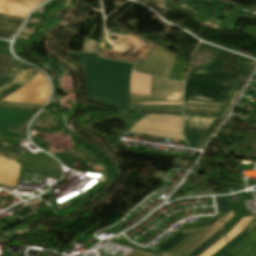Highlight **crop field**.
Masks as SVG:
<instances>
[{"instance_id": "obj_11", "label": "crop field", "mask_w": 256, "mask_h": 256, "mask_svg": "<svg viewBox=\"0 0 256 256\" xmlns=\"http://www.w3.org/2000/svg\"><path fill=\"white\" fill-rule=\"evenodd\" d=\"M34 7L36 6L0 1V13L10 15L25 17Z\"/></svg>"}, {"instance_id": "obj_21", "label": "crop field", "mask_w": 256, "mask_h": 256, "mask_svg": "<svg viewBox=\"0 0 256 256\" xmlns=\"http://www.w3.org/2000/svg\"><path fill=\"white\" fill-rule=\"evenodd\" d=\"M24 18L0 14V22L21 26Z\"/></svg>"}, {"instance_id": "obj_16", "label": "crop field", "mask_w": 256, "mask_h": 256, "mask_svg": "<svg viewBox=\"0 0 256 256\" xmlns=\"http://www.w3.org/2000/svg\"><path fill=\"white\" fill-rule=\"evenodd\" d=\"M255 227H256V216H254L253 220L234 239L228 242L229 250L233 248L241 240H243L246 236H248Z\"/></svg>"}, {"instance_id": "obj_29", "label": "crop field", "mask_w": 256, "mask_h": 256, "mask_svg": "<svg viewBox=\"0 0 256 256\" xmlns=\"http://www.w3.org/2000/svg\"><path fill=\"white\" fill-rule=\"evenodd\" d=\"M25 1H32V2L42 3V2H40V1H33V0H25Z\"/></svg>"}, {"instance_id": "obj_23", "label": "crop field", "mask_w": 256, "mask_h": 256, "mask_svg": "<svg viewBox=\"0 0 256 256\" xmlns=\"http://www.w3.org/2000/svg\"><path fill=\"white\" fill-rule=\"evenodd\" d=\"M16 32L17 31H15V30H7V29L0 28V38L12 39L13 36L16 34Z\"/></svg>"}, {"instance_id": "obj_8", "label": "crop field", "mask_w": 256, "mask_h": 256, "mask_svg": "<svg viewBox=\"0 0 256 256\" xmlns=\"http://www.w3.org/2000/svg\"><path fill=\"white\" fill-rule=\"evenodd\" d=\"M215 117L185 116L184 136L191 147L197 145Z\"/></svg>"}, {"instance_id": "obj_12", "label": "crop field", "mask_w": 256, "mask_h": 256, "mask_svg": "<svg viewBox=\"0 0 256 256\" xmlns=\"http://www.w3.org/2000/svg\"><path fill=\"white\" fill-rule=\"evenodd\" d=\"M218 221L215 222L214 225L211 228H209L206 232H204L200 237H198L195 241H193L191 244H189L187 247H185L177 254L186 256L188 253H190L192 250H194L196 247H198L200 244L206 241L209 237H211L216 231H218L222 227V222L219 224Z\"/></svg>"}, {"instance_id": "obj_22", "label": "crop field", "mask_w": 256, "mask_h": 256, "mask_svg": "<svg viewBox=\"0 0 256 256\" xmlns=\"http://www.w3.org/2000/svg\"><path fill=\"white\" fill-rule=\"evenodd\" d=\"M226 244L225 237L220 239L217 243H215L212 247H210L207 251H205L200 256H211L213 253L218 251L221 247H223Z\"/></svg>"}, {"instance_id": "obj_15", "label": "crop field", "mask_w": 256, "mask_h": 256, "mask_svg": "<svg viewBox=\"0 0 256 256\" xmlns=\"http://www.w3.org/2000/svg\"><path fill=\"white\" fill-rule=\"evenodd\" d=\"M210 226L204 227L202 229L195 230L189 236H187L184 240H182L180 243H178L175 247L171 248L167 252H169V253L178 252L179 250L184 248L186 245H188L191 241H193L196 237H198L200 234H202L205 230H207Z\"/></svg>"}, {"instance_id": "obj_30", "label": "crop field", "mask_w": 256, "mask_h": 256, "mask_svg": "<svg viewBox=\"0 0 256 256\" xmlns=\"http://www.w3.org/2000/svg\"><path fill=\"white\" fill-rule=\"evenodd\" d=\"M44 1H46V0H44Z\"/></svg>"}, {"instance_id": "obj_24", "label": "crop field", "mask_w": 256, "mask_h": 256, "mask_svg": "<svg viewBox=\"0 0 256 256\" xmlns=\"http://www.w3.org/2000/svg\"><path fill=\"white\" fill-rule=\"evenodd\" d=\"M227 252V244L220 249L217 253H215L213 256H223Z\"/></svg>"}, {"instance_id": "obj_18", "label": "crop field", "mask_w": 256, "mask_h": 256, "mask_svg": "<svg viewBox=\"0 0 256 256\" xmlns=\"http://www.w3.org/2000/svg\"><path fill=\"white\" fill-rule=\"evenodd\" d=\"M252 218L253 216L242 218L240 222L228 234H226L227 241L236 236L250 222Z\"/></svg>"}, {"instance_id": "obj_5", "label": "crop field", "mask_w": 256, "mask_h": 256, "mask_svg": "<svg viewBox=\"0 0 256 256\" xmlns=\"http://www.w3.org/2000/svg\"><path fill=\"white\" fill-rule=\"evenodd\" d=\"M49 83L41 74H37L28 84L3 101L44 105L49 96Z\"/></svg>"}, {"instance_id": "obj_4", "label": "crop field", "mask_w": 256, "mask_h": 256, "mask_svg": "<svg viewBox=\"0 0 256 256\" xmlns=\"http://www.w3.org/2000/svg\"><path fill=\"white\" fill-rule=\"evenodd\" d=\"M183 83L152 76L151 96L131 94L133 104L182 105Z\"/></svg>"}, {"instance_id": "obj_7", "label": "crop field", "mask_w": 256, "mask_h": 256, "mask_svg": "<svg viewBox=\"0 0 256 256\" xmlns=\"http://www.w3.org/2000/svg\"><path fill=\"white\" fill-rule=\"evenodd\" d=\"M39 71L27 69L26 71L12 68L0 78V99L12 94L31 80Z\"/></svg>"}, {"instance_id": "obj_13", "label": "crop field", "mask_w": 256, "mask_h": 256, "mask_svg": "<svg viewBox=\"0 0 256 256\" xmlns=\"http://www.w3.org/2000/svg\"><path fill=\"white\" fill-rule=\"evenodd\" d=\"M22 152L12 148L0 139V156L15 161Z\"/></svg>"}, {"instance_id": "obj_14", "label": "crop field", "mask_w": 256, "mask_h": 256, "mask_svg": "<svg viewBox=\"0 0 256 256\" xmlns=\"http://www.w3.org/2000/svg\"><path fill=\"white\" fill-rule=\"evenodd\" d=\"M223 236H224V233H223V227H222L216 234H214L204 244H202L200 247H198L196 250H194L192 253H190L187 256L200 255L202 252H204L206 249H208L211 245H213L215 242H217Z\"/></svg>"}, {"instance_id": "obj_26", "label": "crop field", "mask_w": 256, "mask_h": 256, "mask_svg": "<svg viewBox=\"0 0 256 256\" xmlns=\"http://www.w3.org/2000/svg\"><path fill=\"white\" fill-rule=\"evenodd\" d=\"M130 256H153V255H149V254H145V253H142V252H139V251H135Z\"/></svg>"}, {"instance_id": "obj_9", "label": "crop field", "mask_w": 256, "mask_h": 256, "mask_svg": "<svg viewBox=\"0 0 256 256\" xmlns=\"http://www.w3.org/2000/svg\"><path fill=\"white\" fill-rule=\"evenodd\" d=\"M20 165L0 158V183L15 186Z\"/></svg>"}, {"instance_id": "obj_27", "label": "crop field", "mask_w": 256, "mask_h": 256, "mask_svg": "<svg viewBox=\"0 0 256 256\" xmlns=\"http://www.w3.org/2000/svg\"><path fill=\"white\" fill-rule=\"evenodd\" d=\"M233 216L232 211H230L226 216H224V224Z\"/></svg>"}, {"instance_id": "obj_25", "label": "crop field", "mask_w": 256, "mask_h": 256, "mask_svg": "<svg viewBox=\"0 0 256 256\" xmlns=\"http://www.w3.org/2000/svg\"><path fill=\"white\" fill-rule=\"evenodd\" d=\"M0 27H1V28H7V29H15V30H18V29H19L18 26H13V25L3 24V23H0Z\"/></svg>"}, {"instance_id": "obj_28", "label": "crop field", "mask_w": 256, "mask_h": 256, "mask_svg": "<svg viewBox=\"0 0 256 256\" xmlns=\"http://www.w3.org/2000/svg\"><path fill=\"white\" fill-rule=\"evenodd\" d=\"M7 1L17 2V3H25V4H34V5H39V4H35V3H26V2L17 1V0H7Z\"/></svg>"}, {"instance_id": "obj_20", "label": "crop field", "mask_w": 256, "mask_h": 256, "mask_svg": "<svg viewBox=\"0 0 256 256\" xmlns=\"http://www.w3.org/2000/svg\"><path fill=\"white\" fill-rule=\"evenodd\" d=\"M216 202H217L218 211L220 212L221 216L226 215L231 210L225 199V196L216 197Z\"/></svg>"}, {"instance_id": "obj_10", "label": "crop field", "mask_w": 256, "mask_h": 256, "mask_svg": "<svg viewBox=\"0 0 256 256\" xmlns=\"http://www.w3.org/2000/svg\"><path fill=\"white\" fill-rule=\"evenodd\" d=\"M151 76L132 73L131 74V93L150 95Z\"/></svg>"}, {"instance_id": "obj_6", "label": "crop field", "mask_w": 256, "mask_h": 256, "mask_svg": "<svg viewBox=\"0 0 256 256\" xmlns=\"http://www.w3.org/2000/svg\"><path fill=\"white\" fill-rule=\"evenodd\" d=\"M175 57V54L157 46L142 72L169 79Z\"/></svg>"}, {"instance_id": "obj_1", "label": "crop field", "mask_w": 256, "mask_h": 256, "mask_svg": "<svg viewBox=\"0 0 256 256\" xmlns=\"http://www.w3.org/2000/svg\"><path fill=\"white\" fill-rule=\"evenodd\" d=\"M68 53L87 65L88 100L130 110L128 84L133 65L99 58L97 54Z\"/></svg>"}, {"instance_id": "obj_17", "label": "crop field", "mask_w": 256, "mask_h": 256, "mask_svg": "<svg viewBox=\"0 0 256 256\" xmlns=\"http://www.w3.org/2000/svg\"><path fill=\"white\" fill-rule=\"evenodd\" d=\"M193 230H183L179 234H177L175 237H173L171 240H169L167 243H165L163 246H161L158 251L165 252L167 249L173 247L175 244H177L180 240H182L184 237H186L189 233H191Z\"/></svg>"}, {"instance_id": "obj_3", "label": "crop field", "mask_w": 256, "mask_h": 256, "mask_svg": "<svg viewBox=\"0 0 256 256\" xmlns=\"http://www.w3.org/2000/svg\"><path fill=\"white\" fill-rule=\"evenodd\" d=\"M181 125V115L149 114L140 119L129 132L184 140Z\"/></svg>"}, {"instance_id": "obj_19", "label": "crop field", "mask_w": 256, "mask_h": 256, "mask_svg": "<svg viewBox=\"0 0 256 256\" xmlns=\"http://www.w3.org/2000/svg\"><path fill=\"white\" fill-rule=\"evenodd\" d=\"M14 60V58L0 55V77L11 69Z\"/></svg>"}, {"instance_id": "obj_2", "label": "crop field", "mask_w": 256, "mask_h": 256, "mask_svg": "<svg viewBox=\"0 0 256 256\" xmlns=\"http://www.w3.org/2000/svg\"><path fill=\"white\" fill-rule=\"evenodd\" d=\"M241 77L191 69L184 103L223 106Z\"/></svg>"}]
</instances>
